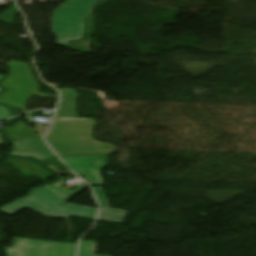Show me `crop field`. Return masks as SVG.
<instances>
[{"mask_svg":"<svg viewBox=\"0 0 256 256\" xmlns=\"http://www.w3.org/2000/svg\"><path fill=\"white\" fill-rule=\"evenodd\" d=\"M94 125L93 119H54L46 140L60 157L111 155L115 146L92 139Z\"/></svg>","mask_w":256,"mask_h":256,"instance_id":"8a807250","label":"crop field"},{"mask_svg":"<svg viewBox=\"0 0 256 256\" xmlns=\"http://www.w3.org/2000/svg\"><path fill=\"white\" fill-rule=\"evenodd\" d=\"M54 201V203H52ZM68 199L43 187L31 190L30 194L0 208V212L9 216L29 207L51 218L75 216L94 220L98 209L66 204ZM28 208V209H29Z\"/></svg>","mask_w":256,"mask_h":256,"instance_id":"ac0d7876","label":"crop field"},{"mask_svg":"<svg viewBox=\"0 0 256 256\" xmlns=\"http://www.w3.org/2000/svg\"><path fill=\"white\" fill-rule=\"evenodd\" d=\"M99 0H65L53 13L52 29L58 43L83 37L85 20Z\"/></svg>","mask_w":256,"mask_h":256,"instance_id":"34b2d1b8","label":"crop field"},{"mask_svg":"<svg viewBox=\"0 0 256 256\" xmlns=\"http://www.w3.org/2000/svg\"><path fill=\"white\" fill-rule=\"evenodd\" d=\"M11 75L1 82L7 91L0 96V103H6L17 108H25L29 97L55 96L38 93L39 86L35 77L32 76L30 66L24 63L9 62ZM58 97V96H55Z\"/></svg>","mask_w":256,"mask_h":256,"instance_id":"412701ff","label":"crop field"},{"mask_svg":"<svg viewBox=\"0 0 256 256\" xmlns=\"http://www.w3.org/2000/svg\"><path fill=\"white\" fill-rule=\"evenodd\" d=\"M77 244L15 238L7 256H75Z\"/></svg>","mask_w":256,"mask_h":256,"instance_id":"f4fd0767","label":"crop field"},{"mask_svg":"<svg viewBox=\"0 0 256 256\" xmlns=\"http://www.w3.org/2000/svg\"><path fill=\"white\" fill-rule=\"evenodd\" d=\"M77 174L92 185L103 184L100 170L107 166V156L62 158Z\"/></svg>","mask_w":256,"mask_h":256,"instance_id":"dd49c442","label":"crop field"},{"mask_svg":"<svg viewBox=\"0 0 256 256\" xmlns=\"http://www.w3.org/2000/svg\"><path fill=\"white\" fill-rule=\"evenodd\" d=\"M13 144L11 156L34 157L38 161L55 157L40 137L16 141Z\"/></svg>","mask_w":256,"mask_h":256,"instance_id":"e52e79f7","label":"crop field"},{"mask_svg":"<svg viewBox=\"0 0 256 256\" xmlns=\"http://www.w3.org/2000/svg\"><path fill=\"white\" fill-rule=\"evenodd\" d=\"M101 204V213L98 220L123 224L128 211L110 209L106 195L101 186L93 188ZM105 217V219H103ZM117 220V222L115 221Z\"/></svg>","mask_w":256,"mask_h":256,"instance_id":"d8731c3e","label":"crop field"},{"mask_svg":"<svg viewBox=\"0 0 256 256\" xmlns=\"http://www.w3.org/2000/svg\"><path fill=\"white\" fill-rule=\"evenodd\" d=\"M62 100L58 107L55 118H77L75 113V100L78 96L74 89H59Z\"/></svg>","mask_w":256,"mask_h":256,"instance_id":"5a996713","label":"crop field"},{"mask_svg":"<svg viewBox=\"0 0 256 256\" xmlns=\"http://www.w3.org/2000/svg\"><path fill=\"white\" fill-rule=\"evenodd\" d=\"M5 161L13 164L18 170H20L26 176L36 175L41 179H46L48 177H51V175L47 171L42 169L32 160H24L20 158H9Z\"/></svg>","mask_w":256,"mask_h":256,"instance_id":"3316defc","label":"crop field"},{"mask_svg":"<svg viewBox=\"0 0 256 256\" xmlns=\"http://www.w3.org/2000/svg\"><path fill=\"white\" fill-rule=\"evenodd\" d=\"M37 129H33L31 127H28L27 124L20 122L15 124L13 127H8L5 131V134L7 138L11 140H19V139H25V138H31V137H38L45 134L46 130H42L40 135H35L37 132Z\"/></svg>","mask_w":256,"mask_h":256,"instance_id":"28ad6ade","label":"crop field"},{"mask_svg":"<svg viewBox=\"0 0 256 256\" xmlns=\"http://www.w3.org/2000/svg\"><path fill=\"white\" fill-rule=\"evenodd\" d=\"M97 242L81 240L78 256H103L94 255Z\"/></svg>","mask_w":256,"mask_h":256,"instance_id":"d1516ede","label":"crop field"},{"mask_svg":"<svg viewBox=\"0 0 256 256\" xmlns=\"http://www.w3.org/2000/svg\"><path fill=\"white\" fill-rule=\"evenodd\" d=\"M18 12V9L13 4L9 9L0 15V21L14 24V19Z\"/></svg>","mask_w":256,"mask_h":256,"instance_id":"22f410ed","label":"crop field"},{"mask_svg":"<svg viewBox=\"0 0 256 256\" xmlns=\"http://www.w3.org/2000/svg\"><path fill=\"white\" fill-rule=\"evenodd\" d=\"M11 116V113L4 107L0 106V119Z\"/></svg>","mask_w":256,"mask_h":256,"instance_id":"cbeb9de0","label":"crop field"},{"mask_svg":"<svg viewBox=\"0 0 256 256\" xmlns=\"http://www.w3.org/2000/svg\"><path fill=\"white\" fill-rule=\"evenodd\" d=\"M0 144H3V142H2V135H1V133H0Z\"/></svg>","mask_w":256,"mask_h":256,"instance_id":"5142ce71","label":"crop field"},{"mask_svg":"<svg viewBox=\"0 0 256 256\" xmlns=\"http://www.w3.org/2000/svg\"><path fill=\"white\" fill-rule=\"evenodd\" d=\"M5 75H0V79L3 78ZM3 91L1 88H0V92Z\"/></svg>","mask_w":256,"mask_h":256,"instance_id":"d9b57169","label":"crop field"}]
</instances>
